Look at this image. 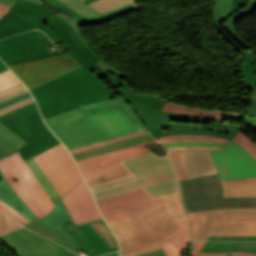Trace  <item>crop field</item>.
I'll return each instance as SVG.
<instances>
[{"mask_svg":"<svg viewBox=\"0 0 256 256\" xmlns=\"http://www.w3.org/2000/svg\"><path fill=\"white\" fill-rule=\"evenodd\" d=\"M10 12L38 24L39 26L36 28L44 31L54 43H59L58 48L61 47L62 49L51 53L47 47L51 42L44 36L43 32L31 30L27 33L0 40V58L7 65L70 52L98 77H107L123 96L127 95L110 74L80 49L71 33L51 17L54 13L49 9L36 3L16 0Z\"/></svg>","mask_w":256,"mask_h":256,"instance_id":"1","label":"crop field"},{"mask_svg":"<svg viewBox=\"0 0 256 256\" xmlns=\"http://www.w3.org/2000/svg\"><path fill=\"white\" fill-rule=\"evenodd\" d=\"M162 198L164 201L148 209L107 221L121 246V255L151 252L175 238L187 215L179 193Z\"/></svg>","mask_w":256,"mask_h":256,"instance_id":"2","label":"crop field"},{"mask_svg":"<svg viewBox=\"0 0 256 256\" xmlns=\"http://www.w3.org/2000/svg\"><path fill=\"white\" fill-rule=\"evenodd\" d=\"M43 117L67 108L114 98L113 93L84 65L30 90Z\"/></svg>","mask_w":256,"mask_h":256,"instance_id":"3","label":"crop field"},{"mask_svg":"<svg viewBox=\"0 0 256 256\" xmlns=\"http://www.w3.org/2000/svg\"><path fill=\"white\" fill-rule=\"evenodd\" d=\"M138 113L154 138L179 134L214 135L232 139L233 136L205 133L208 121L223 122L224 119L206 118L160 111L166 100L159 96L135 95L122 97Z\"/></svg>","mask_w":256,"mask_h":256,"instance_id":"4","label":"crop field"},{"mask_svg":"<svg viewBox=\"0 0 256 256\" xmlns=\"http://www.w3.org/2000/svg\"><path fill=\"white\" fill-rule=\"evenodd\" d=\"M96 201L143 188L151 199L179 192L173 164L163 165L103 184L89 186Z\"/></svg>","mask_w":256,"mask_h":256,"instance_id":"5","label":"crop field"},{"mask_svg":"<svg viewBox=\"0 0 256 256\" xmlns=\"http://www.w3.org/2000/svg\"><path fill=\"white\" fill-rule=\"evenodd\" d=\"M180 187L187 212L256 208V197H224L218 174L182 180Z\"/></svg>","mask_w":256,"mask_h":256,"instance_id":"6","label":"crop field"},{"mask_svg":"<svg viewBox=\"0 0 256 256\" xmlns=\"http://www.w3.org/2000/svg\"><path fill=\"white\" fill-rule=\"evenodd\" d=\"M193 241L208 235H256V209H234L188 213Z\"/></svg>","mask_w":256,"mask_h":256,"instance_id":"7","label":"crop field"},{"mask_svg":"<svg viewBox=\"0 0 256 256\" xmlns=\"http://www.w3.org/2000/svg\"><path fill=\"white\" fill-rule=\"evenodd\" d=\"M0 169L15 192L38 218L44 216L55 207L18 153L0 160Z\"/></svg>","mask_w":256,"mask_h":256,"instance_id":"8","label":"crop field"},{"mask_svg":"<svg viewBox=\"0 0 256 256\" xmlns=\"http://www.w3.org/2000/svg\"><path fill=\"white\" fill-rule=\"evenodd\" d=\"M256 9V0H216L213 9V24L236 51L244 58L240 66L246 86L256 84V51H246L235 43L223 32L219 24H225L229 32L237 31L235 22L246 17Z\"/></svg>","mask_w":256,"mask_h":256,"instance_id":"9","label":"crop field"},{"mask_svg":"<svg viewBox=\"0 0 256 256\" xmlns=\"http://www.w3.org/2000/svg\"><path fill=\"white\" fill-rule=\"evenodd\" d=\"M68 149L108 139L106 132L79 107L45 119Z\"/></svg>","mask_w":256,"mask_h":256,"instance_id":"10","label":"crop field"},{"mask_svg":"<svg viewBox=\"0 0 256 256\" xmlns=\"http://www.w3.org/2000/svg\"><path fill=\"white\" fill-rule=\"evenodd\" d=\"M80 65L82 64L72 54L67 53L10 65L9 67L31 89Z\"/></svg>","mask_w":256,"mask_h":256,"instance_id":"11","label":"crop field"},{"mask_svg":"<svg viewBox=\"0 0 256 256\" xmlns=\"http://www.w3.org/2000/svg\"><path fill=\"white\" fill-rule=\"evenodd\" d=\"M89 256L117 251L118 244L104 219L78 225L73 221L62 226Z\"/></svg>","mask_w":256,"mask_h":256,"instance_id":"12","label":"crop field"},{"mask_svg":"<svg viewBox=\"0 0 256 256\" xmlns=\"http://www.w3.org/2000/svg\"><path fill=\"white\" fill-rule=\"evenodd\" d=\"M18 256H77L56 243L24 228L0 237ZM118 256V252L104 255Z\"/></svg>","mask_w":256,"mask_h":256,"instance_id":"13","label":"crop field"},{"mask_svg":"<svg viewBox=\"0 0 256 256\" xmlns=\"http://www.w3.org/2000/svg\"><path fill=\"white\" fill-rule=\"evenodd\" d=\"M234 141L222 151H209L221 179L256 176V159Z\"/></svg>","mask_w":256,"mask_h":256,"instance_id":"14","label":"crop field"},{"mask_svg":"<svg viewBox=\"0 0 256 256\" xmlns=\"http://www.w3.org/2000/svg\"><path fill=\"white\" fill-rule=\"evenodd\" d=\"M0 122L27 143L49 130L34 102L1 116Z\"/></svg>","mask_w":256,"mask_h":256,"instance_id":"15","label":"crop field"},{"mask_svg":"<svg viewBox=\"0 0 256 256\" xmlns=\"http://www.w3.org/2000/svg\"><path fill=\"white\" fill-rule=\"evenodd\" d=\"M162 201L161 197L151 200L141 189L119 197L98 201L105 220L127 216Z\"/></svg>","mask_w":256,"mask_h":256,"instance_id":"16","label":"crop field"},{"mask_svg":"<svg viewBox=\"0 0 256 256\" xmlns=\"http://www.w3.org/2000/svg\"><path fill=\"white\" fill-rule=\"evenodd\" d=\"M149 143H159V142L155 140L149 141L146 143L131 146L128 148H124V149L103 154L100 156L78 161L77 164L79 165L84 177L92 176L105 171H110L112 169L122 166L118 162L120 160L151 151L150 149H148L146 146L143 145V144H149Z\"/></svg>","mask_w":256,"mask_h":256,"instance_id":"17","label":"crop field"},{"mask_svg":"<svg viewBox=\"0 0 256 256\" xmlns=\"http://www.w3.org/2000/svg\"><path fill=\"white\" fill-rule=\"evenodd\" d=\"M62 200L75 224L102 217L85 181L76 185Z\"/></svg>","mask_w":256,"mask_h":256,"instance_id":"18","label":"crop field"},{"mask_svg":"<svg viewBox=\"0 0 256 256\" xmlns=\"http://www.w3.org/2000/svg\"><path fill=\"white\" fill-rule=\"evenodd\" d=\"M42 155L50 163L67 191L77 182L83 180L76 163L63 144L42 153Z\"/></svg>","mask_w":256,"mask_h":256,"instance_id":"19","label":"crop field"},{"mask_svg":"<svg viewBox=\"0 0 256 256\" xmlns=\"http://www.w3.org/2000/svg\"><path fill=\"white\" fill-rule=\"evenodd\" d=\"M190 178L218 173L209 152L181 153Z\"/></svg>","mask_w":256,"mask_h":256,"instance_id":"20","label":"crop field"},{"mask_svg":"<svg viewBox=\"0 0 256 256\" xmlns=\"http://www.w3.org/2000/svg\"><path fill=\"white\" fill-rule=\"evenodd\" d=\"M59 2L67 5L75 12L95 21L96 23H100L104 20H109L115 16L127 13L135 8H137L133 3L119 7L117 9L105 12L98 13L96 10L88 6L82 0H58Z\"/></svg>","mask_w":256,"mask_h":256,"instance_id":"21","label":"crop field"},{"mask_svg":"<svg viewBox=\"0 0 256 256\" xmlns=\"http://www.w3.org/2000/svg\"><path fill=\"white\" fill-rule=\"evenodd\" d=\"M50 230L55 228L61 236L76 250L81 247L67 234V232L60 226L71 221V218L62 202L56 206L55 210L48 216L40 219ZM82 250V249H81ZM83 251V250H82ZM84 252V251H83Z\"/></svg>","mask_w":256,"mask_h":256,"instance_id":"22","label":"crop field"},{"mask_svg":"<svg viewBox=\"0 0 256 256\" xmlns=\"http://www.w3.org/2000/svg\"><path fill=\"white\" fill-rule=\"evenodd\" d=\"M120 163L129 171L130 174L142 169L172 163L169 155L158 157L152 152L141 154L123 161Z\"/></svg>","mask_w":256,"mask_h":256,"instance_id":"23","label":"crop field"},{"mask_svg":"<svg viewBox=\"0 0 256 256\" xmlns=\"http://www.w3.org/2000/svg\"><path fill=\"white\" fill-rule=\"evenodd\" d=\"M103 105H113L118 109L122 110L123 112H125L129 116V118L131 119L132 123L134 124L137 130L147 129L144 123L141 121V119L137 115V113L134 111V109L121 97L94 103V104L83 105L79 107L83 111H85L89 116H91L93 114L98 113L96 110L93 109V107L103 106Z\"/></svg>","mask_w":256,"mask_h":256,"instance_id":"24","label":"crop field"},{"mask_svg":"<svg viewBox=\"0 0 256 256\" xmlns=\"http://www.w3.org/2000/svg\"><path fill=\"white\" fill-rule=\"evenodd\" d=\"M0 182V200L14 208L27 219L31 221L37 220L38 218L30 211L22 199L14 192L5 178L1 179Z\"/></svg>","mask_w":256,"mask_h":256,"instance_id":"25","label":"crop field"},{"mask_svg":"<svg viewBox=\"0 0 256 256\" xmlns=\"http://www.w3.org/2000/svg\"><path fill=\"white\" fill-rule=\"evenodd\" d=\"M36 24L11 13L0 20V39L35 28Z\"/></svg>","mask_w":256,"mask_h":256,"instance_id":"26","label":"crop field"},{"mask_svg":"<svg viewBox=\"0 0 256 256\" xmlns=\"http://www.w3.org/2000/svg\"><path fill=\"white\" fill-rule=\"evenodd\" d=\"M149 140H153V138L151 137L150 134L140 136V137H136V138H132V139L119 141V142L112 143V144L102 146V147H98V148L89 149V150H86V151H82V152L73 154L72 156L76 159V161H78V160H82V159L89 158V157H92V156H96V155H100V154L107 153V152H110V151H114V150H117V149H121V148H124V147H128V146H131V145L146 142V141H149Z\"/></svg>","mask_w":256,"mask_h":256,"instance_id":"27","label":"crop field"},{"mask_svg":"<svg viewBox=\"0 0 256 256\" xmlns=\"http://www.w3.org/2000/svg\"><path fill=\"white\" fill-rule=\"evenodd\" d=\"M222 182L225 196H256V177Z\"/></svg>","mask_w":256,"mask_h":256,"instance_id":"28","label":"crop field"},{"mask_svg":"<svg viewBox=\"0 0 256 256\" xmlns=\"http://www.w3.org/2000/svg\"><path fill=\"white\" fill-rule=\"evenodd\" d=\"M59 143L61 142L49 130L18 151L24 159H29L39 152Z\"/></svg>","mask_w":256,"mask_h":256,"instance_id":"29","label":"crop field"},{"mask_svg":"<svg viewBox=\"0 0 256 256\" xmlns=\"http://www.w3.org/2000/svg\"><path fill=\"white\" fill-rule=\"evenodd\" d=\"M203 252L245 251L256 253L254 242H207Z\"/></svg>","mask_w":256,"mask_h":256,"instance_id":"30","label":"crop field"},{"mask_svg":"<svg viewBox=\"0 0 256 256\" xmlns=\"http://www.w3.org/2000/svg\"><path fill=\"white\" fill-rule=\"evenodd\" d=\"M190 242L188 219H184L176 238L163 248L167 256H181V250Z\"/></svg>","mask_w":256,"mask_h":256,"instance_id":"31","label":"crop field"},{"mask_svg":"<svg viewBox=\"0 0 256 256\" xmlns=\"http://www.w3.org/2000/svg\"><path fill=\"white\" fill-rule=\"evenodd\" d=\"M162 110L185 113V114H195V115H201V116H207V117H217V118L244 119L245 117V115L243 114H228V113L203 111V110H195L191 108L179 107L168 102L164 104Z\"/></svg>","mask_w":256,"mask_h":256,"instance_id":"32","label":"crop field"},{"mask_svg":"<svg viewBox=\"0 0 256 256\" xmlns=\"http://www.w3.org/2000/svg\"><path fill=\"white\" fill-rule=\"evenodd\" d=\"M56 15H58L61 19L65 20V21L68 23V25H69L70 27H72V28L75 30V32L78 34V36L81 38V40H82V41L84 42V44L86 45V47H87L98 59L101 60V61L97 62V64H99V65H100L103 69H105L106 71L110 70V71L116 73L117 75H119L120 77H125V74H124L123 72H121L120 70H118V69H116V68L110 66L108 63H106L104 60H102V59L89 47V45L85 42V40H84V38H83V36H82L80 30H79V26L82 25V24H84L83 22H81V21H79V20H77V19H75V18H73V17H71V16H69V15H67V14H65V13H63V12H61V11L57 12ZM116 74H115V75H116Z\"/></svg>","mask_w":256,"mask_h":256,"instance_id":"33","label":"crop field"},{"mask_svg":"<svg viewBox=\"0 0 256 256\" xmlns=\"http://www.w3.org/2000/svg\"><path fill=\"white\" fill-rule=\"evenodd\" d=\"M8 129L0 123V147L7 153L11 154L27 143Z\"/></svg>","mask_w":256,"mask_h":256,"instance_id":"34","label":"crop field"},{"mask_svg":"<svg viewBox=\"0 0 256 256\" xmlns=\"http://www.w3.org/2000/svg\"><path fill=\"white\" fill-rule=\"evenodd\" d=\"M30 169L33 171L43 188L46 190L52 201L54 202L55 206L61 199L60 195L55 190L52 183L49 181V179L46 177V175L42 172V170L39 168V166L36 164V162L33 160V158L26 161Z\"/></svg>","mask_w":256,"mask_h":256,"instance_id":"35","label":"crop field"},{"mask_svg":"<svg viewBox=\"0 0 256 256\" xmlns=\"http://www.w3.org/2000/svg\"><path fill=\"white\" fill-rule=\"evenodd\" d=\"M25 227L39 233L42 234L52 240H54L55 242L71 249L72 251L78 253L76 250H74L61 236L60 234L54 229L52 231H50L40 220L35 221L31 224L26 225Z\"/></svg>","mask_w":256,"mask_h":256,"instance_id":"36","label":"crop field"},{"mask_svg":"<svg viewBox=\"0 0 256 256\" xmlns=\"http://www.w3.org/2000/svg\"><path fill=\"white\" fill-rule=\"evenodd\" d=\"M160 141L162 143L165 142H174V141H206V142H213V143H221V144H228L230 140L213 137V136H200V135H179V136H166L160 137Z\"/></svg>","mask_w":256,"mask_h":256,"instance_id":"37","label":"crop field"},{"mask_svg":"<svg viewBox=\"0 0 256 256\" xmlns=\"http://www.w3.org/2000/svg\"><path fill=\"white\" fill-rule=\"evenodd\" d=\"M34 160L37 162V164L40 166V168L44 171V173L47 175V177L50 179V181L55 186L58 193L62 196H64L67 192L60 183L59 179L57 178L56 174L54 173L51 166L48 164L46 159L40 154L36 157H34Z\"/></svg>","mask_w":256,"mask_h":256,"instance_id":"38","label":"crop field"},{"mask_svg":"<svg viewBox=\"0 0 256 256\" xmlns=\"http://www.w3.org/2000/svg\"><path fill=\"white\" fill-rule=\"evenodd\" d=\"M128 174H129L128 171L124 167H122V168L112 170L110 172L101 173L92 177H88L86 178V180L88 184L91 185V184L107 182Z\"/></svg>","mask_w":256,"mask_h":256,"instance_id":"39","label":"crop field"},{"mask_svg":"<svg viewBox=\"0 0 256 256\" xmlns=\"http://www.w3.org/2000/svg\"><path fill=\"white\" fill-rule=\"evenodd\" d=\"M95 109L98 110L100 113H102L104 116H106L109 119V121L119 129L121 135L130 133V130L127 127V125L123 122V120L117 114L108 110L105 106L97 107Z\"/></svg>","mask_w":256,"mask_h":256,"instance_id":"40","label":"crop field"},{"mask_svg":"<svg viewBox=\"0 0 256 256\" xmlns=\"http://www.w3.org/2000/svg\"><path fill=\"white\" fill-rule=\"evenodd\" d=\"M131 3L129 0H97L91 4V7L102 13L116 7Z\"/></svg>","mask_w":256,"mask_h":256,"instance_id":"41","label":"crop field"},{"mask_svg":"<svg viewBox=\"0 0 256 256\" xmlns=\"http://www.w3.org/2000/svg\"><path fill=\"white\" fill-rule=\"evenodd\" d=\"M144 134H148V131L142 130V131H138V132H133V133L123 135V136H120V137H116V138H112V139H109V140H105V141L93 143V144H90V145L70 149V151L73 154V153H76V152H79V151H82V150H86V149H89V148L102 146V145L109 144V143H112V142H115V141H119V140L126 139V138H131V137H136V136H140V135H144Z\"/></svg>","mask_w":256,"mask_h":256,"instance_id":"42","label":"crop field"},{"mask_svg":"<svg viewBox=\"0 0 256 256\" xmlns=\"http://www.w3.org/2000/svg\"><path fill=\"white\" fill-rule=\"evenodd\" d=\"M94 120H96L99 125L107 132V134L112 137L120 136L119 131L117 128H115L108 120L106 117L101 115L100 113L91 116Z\"/></svg>","mask_w":256,"mask_h":256,"instance_id":"43","label":"crop field"},{"mask_svg":"<svg viewBox=\"0 0 256 256\" xmlns=\"http://www.w3.org/2000/svg\"><path fill=\"white\" fill-rule=\"evenodd\" d=\"M233 140L256 158V144L251 139L239 132Z\"/></svg>","mask_w":256,"mask_h":256,"instance_id":"44","label":"crop field"},{"mask_svg":"<svg viewBox=\"0 0 256 256\" xmlns=\"http://www.w3.org/2000/svg\"><path fill=\"white\" fill-rule=\"evenodd\" d=\"M45 2H47L50 6H52L55 9L61 10L65 13H68L76 18H78L79 20L83 21L85 24H94V22L76 14L75 12H73L71 9H69L67 6L59 3L56 0H44Z\"/></svg>","mask_w":256,"mask_h":256,"instance_id":"45","label":"crop field"},{"mask_svg":"<svg viewBox=\"0 0 256 256\" xmlns=\"http://www.w3.org/2000/svg\"><path fill=\"white\" fill-rule=\"evenodd\" d=\"M17 227H21L6 215L0 213V235L11 231Z\"/></svg>","mask_w":256,"mask_h":256,"instance_id":"46","label":"crop field"},{"mask_svg":"<svg viewBox=\"0 0 256 256\" xmlns=\"http://www.w3.org/2000/svg\"><path fill=\"white\" fill-rule=\"evenodd\" d=\"M18 82L20 81L10 70L0 74V90Z\"/></svg>","mask_w":256,"mask_h":256,"instance_id":"47","label":"crop field"},{"mask_svg":"<svg viewBox=\"0 0 256 256\" xmlns=\"http://www.w3.org/2000/svg\"><path fill=\"white\" fill-rule=\"evenodd\" d=\"M53 18H55L58 22H60L63 26H65L74 36L75 40L77 41L78 45L82 48V50L88 54L95 62L99 61L83 44V42L80 40V38L76 35V33L73 31L72 28H70L67 23L61 19L58 18V16H53Z\"/></svg>","mask_w":256,"mask_h":256,"instance_id":"48","label":"crop field"},{"mask_svg":"<svg viewBox=\"0 0 256 256\" xmlns=\"http://www.w3.org/2000/svg\"><path fill=\"white\" fill-rule=\"evenodd\" d=\"M179 174V180L189 178L179 153H170Z\"/></svg>","mask_w":256,"mask_h":256,"instance_id":"49","label":"crop field"},{"mask_svg":"<svg viewBox=\"0 0 256 256\" xmlns=\"http://www.w3.org/2000/svg\"><path fill=\"white\" fill-rule=\"evenodd\" d=\"M164 146L165 147H172V146H206V147H223V148H225L226 145L205 143V142H175V143H166V144H164Z\"/></svg>","mask_w":256,"mask_h":256,"instance_id":"50","label":"crop field"},{"mask_svg":"<svg viewBox=\"0 0 256 256\" xmlns=\"http://www.w3.org/2000/svg\"><path fill=\"white\" fill-rule=\"evenodd\" d=\"M216 240H249L256 241V236H209L207 241Z\"/></svg>","mask_w":256,"mask_h":256,"instance_id":"51","label":"crop field"},{"mask_svg":"<svg viewBox=\"0 0 256 256\" xmlns=\"http://www.w3.org/2000/svg\"><path fill=\"white\" fill-rule=\"evenodd\" d=\"M246 90L253 91L252 100L250 102L249 109H248L247 113L256 116V85L246 87Z\"/></svg>","mask_w":256,"mask_h":256,"instance_id":"52","label":"crop field"},{"mask_svg":"<svg viewBox=\"0 0 256 256\" xmlns=\"http://www.w3.org/2000/svg\"><path fill=\"white\" fill-rule=\"evenodd\" d=\"M198 256H256V254L245 252H233V253H199Z\"/></svg>","mask_w":256,"mask_h":256,"instance_id":"53","label":"crop field"},{"mask_svg":"<svg viewBox=\"0 0 256 256\" xmlns=\"http://www.w3.org/2000/svg\"><path fill=\"white\" fill-rule=\"evenodd\" d=\"M34 100H33V98L31 97V98H29V99H26V100H24V101H22V102H19V103H17V104H14V105H12V106H10V107H7V108H5V109H2V110H0V116L1 115H4V114H6V113H9V112H11V111H13V110H16V109H18V108H20V107H22V106H24V105H27V104H29V103H31V102H33Z\"/></svg>","mask_w":256,"mask_h":256,"instance_id":"54","label":"crop field"},{"mask_svg":"<svg viewBox=\"0 0 256 256\" xmlns=\"http://www.w3.org/2000/svg\"><path fill=\"white\" fill-rule=\"evenodd\" d=\"M29 97H31V95H30L29 92H27V93H25V94H22V95H20V96H17V97H15V98H12V99H10V100H7V101H5V102H3V103H0V109L5 108V107H7V106H9V105H12V104H14V103H17V102H19V101H22V100H24V99H26V98H29Z\"/></svg>","mask_w":256,"mask_h":256,"instance_id":"55","label":"crop field"},{"mask_svg":"<svg viewBox=\"0 0 256 256\" xmlns=\"http://www.w3.org/2000/svg\"><path fill=\"white\" fill-rule=\"evenodd\" d=\"M168 152L171 151H196V150H218L222 148H206V147H173L166 148Z\"/></svg>","mask_w":256,"mask_h":256,"instance_id":"56","label":"crop field"},{"mask_svg":"<svg viewBox=\"0 0 256 256\" xmlns=\"http://www.w3.org/2000/svg\"><path fill=\"white\" fill-rule=\"evenodd\" d=\"M106 107L116 112L128 124L131 132L136 131L135 127L133 126V124L131 123L130 119L127 117L126 114H124L122 111L118 110L113 106H106Z\"/></svg>","mask_w":256,"mask_h":256,"instance_id":"57","label":"crop field"},{"mask_svg":"<svg viewBox=\"0 0 256 256\" xmlns=\"http://www.w3.org/2000/svg\"><path fill=\"white\" fill-rule=\"evenodd\" d=\"M25 92H27V90H26L25 87H23L21 89H18L16 91H13V92H11V93H9L7 95H4V96L0 97V102H3L5 100H7V99H10L12 97H15V96L20 95V94L25 93Z\"/></svg>","mask_w":256,"mask_h":256,"instance_id":"58","label":"crop field"},{"mask_svg":"<svg viewBox=\"0 0 256 256\" xmlns=\"http://www.w3.org/2000/svg\"><path fill=\"white\" fill-rule=\"evenodd\" d=\"M0 210H2L3 212H5L7 215L11 216L13 219H15L18 223H20L22 226L27 224L25 223L23 220H21L20 218H18L16 215H14L12 212H10L8 209H6L4 206H2L0 204Z\"/></svg>","mask_w":256,"mask_h":256,"instance_id":"59","label":"crop field"},{"mask_svg":"<svg viewBox=\"0 0 256 256\" xmlns=\"http://www.w3.org/2000/svg\"><path fill=\"white\" fill-rule=\"evenodd\" d=\"M23 86H24V85L22 84V82H20V83H18V84H16V85H13V86H11V87H8V88H6V89L0 91V96H2V95H4V94H7V93H9V92H11V91H13V90L18 89V88H21V87H23Z\"/></svg>","mask_w":256,"mask_h":256,"instance_id":"60","label":"crop field"},{"mask_svg":"<svg viewBox=\"0 0 256 256\" xmlns=\"http://www.w3.org/2000/svg\"><path fill=\"white\" fill-rule=\"evenodd\" d=\"M114 78L120 83V85L123 87V89L127 92L128 95L133 93L132 88L127 83H125L124 81L120 80L119 76H115Z\"/></svg>","mask_w":256,"mask_h":256,"instance_id":"61","label":"crop field"},{"mask_svg":"<svg viewBox=\"0 0 256 256\" xmlns=\"http://www.w3.org/2000/svg\"><path fill=\"white\" fill-rule=\"evenodd\" d=\"M0 203L2 205H4L6 208H8L10 211H12L14 214H16L18 217H20L21 219H23L25 222L29 223L30 221L27 220L25 217H23L22 215H20L18 212H16L14 209H12L11 207H9L8 205H6L5 203H3L2 201H0Z\"/></svg>","mask_w":256,"mask_h":256,"instance_id":"62","label":"crop field"},{"mask_svg":"<svg viewBox=\"0 0 256 256\" xmlns=\"http://www.w3.org/2000/svg\"><path fill=\"white\" fill-rule=\"evenodd\" d=\"M139 256H166L163 252V250H159L153 253H149V254H144V255H139Z\"/></svg>","mask_w":256,"mask_h":256,"instance_id":"63","label":"crop field"},{"mask_svg":"<svg viewBox=\"0 0 256 256\" xmlns=\"http://www.w3.org/2000/svg\"><path fill=\"white\" fill-rule=\"evenodd\" d=\"M204 243L205 242H199L197 244L196 248L194 249V251L192 253L193 256H197L198 255V253H199L200 249L202 248V246L204 245Z\"/></svg>","mask_w":256,"mask_h":256,"instance_id":"64","label":"crop field"},{"mask_svg":"<svg viewBox=\"0 0 256 256\" xmlns=\"http://www.w3.org/2000/svg\"><path fill=\"white\" fill-rule=\"evenodd\" d=\"M8 10H9V7H7V6H5V5H3V4L0 3V13H1V14L4 15L5 13L8 12Z\"/></svg>","mask_w":256,"mask_h":256,"instance_id":"65","label":"crop field"},{"mask_svg":"<svg viewBox=\"0 0 256 256\" xmlns=\"http://www.w3.org/2000/svg\"><path fill=\"white\" fill-rule=\"evenodd\" d=\"M245 120H248V121H250V122H252L253 124H255L256 125V119L255 118H253V117H250V116H247L246 115V117H245ZM245 122V121H244ZM244 124V123H243ZM245 125V124H244ZM247 126V125H246ZM251 127H254V125H250ZM249 127V126H248ZM252 129V128H251ZM254 130V129H253ZM256 131V130H255Z\"/></svg>","mask_w":256,"mask_h":256,"instance_id":"66","label":"crop field"},{"mask_svg":"<svg viewBox=\"0 0 256 256\" xmlns=\"http://www.w3.org/2000/svg\"><path fill=\"white\" fill-rule=\"evenodd\" d=\"M15 0H0L1 3L11 7V5L13 4Z\"/></svg>","mask_w":256,"mask_h":256,"instance_id":"67","label":"crop field"},{"mask_svg":"<svg viewBox=\"0 0 256 256\" xmlns=\"http://www.w3.org/2000/svg\"><path fill=\"white\" fill-rule=\"evenodd\" d=\"M8 154L6 152H4L1 148H0V159L7 156ZM3 178L2 173L0 172V179Z\"/></svg>","mask_w":256,"mask_h":256,"instance_id":"68","label":"crop field"},{"mask_svg":"<svg viewBox=\"0 0 256 256\" xmlns=\"http://www.w3.org/2000/svg\"><path fill=\"white\" fill-rule=\"evenodd\" d=\"M8 70V68L5 66V64L0 60V73L3 71Z\"/></svg>","mask_w":256,"mask_h":256,"instance_id":"69","label":"crop field"},{"mask_svg":"<svg viewBox=\"0 0 256 256\" xmlns=\"http://www.w3.org/2000/svg\"><path fill=\"white\" fill-rule=\"evenodd\" d=\"M92 1H94V0H84V2H86L87 4L92 2Z\"/></svg>","mask_w":256,"mask_h":256,"instance_id":"70","label":"crop field"},{"mask_svg":"<svg viewBox=\"0 0 256 256\" xmlns=\"http://www.w3.org/2000/svg\"><path fill=\"white\" fill-rule=\"evenodd\" d=\"M28 1H32V2L40 3V1H39V0H28Z\"/></svg>","mask_w":256,"mask_h":256,"instance_id":"71","label":"crop field"},{"mask_svg":"<svg viewBox=\"0 0 256 256\" xmlns=\"http://www.w3.org/2000/svg\"><path fill=\"white\" fill-rule=\"evenodd\" d=\"M2 15H0V19H1Z\"/></svg>","mask_w":256,"mask_h":256,"instance_id":"72","label":"crop field"}]
</instances>
